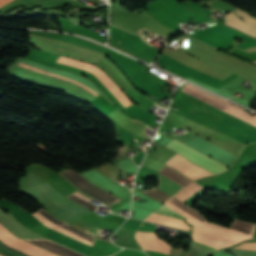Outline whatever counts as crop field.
<instances>
[{
  "instance_id": "obj_8",
  "label": "crop field",
  "mask_w": 256,
  "mask_h": 256,
  "mask_svg": "<svg viewBox=\"0 0 256 256\" xmlns=\"http://www.w3.org/2000/svg\"><path fill=\"white\" fill-rule=\"evenodd\" d=\"M0 241H2L4 244H6L12 248L20 250L24 253L31 255V256H56V255H53L47 251H44L36 246L26 243L22 240H18L13 237L7 236L1 232H0Z\"/></svg>"
},
{
  "instance_id": "obj_20",
  "label": "crop field",
  "mask_w": 256,
  "mask_h": 256,
  "mask_svg": "<svg viewBox=\"0 0 256 256\" xmlns=\"http://www.w3.org/2000/svg\"><path fill=\"white\" fill-rule=\"evenodd\" d=\"M140 193H142L148 197H151L163 204L172 197L158 189H152V190L144 191V192H140Z\"/></svg>"
},
{
  "instance_id": "obj_4",
  "label": "crop field",
  "mask_w": 256,
  "mask_h": 256,
  "mask_svg": "<svg viewBox=\"0 0 256 256\" xmlns=\"http://www.w3.org/2000/svg\"><path fill=\"white\" fill-rule=\"evenodd\" d=\"M21 62H24L26 64H29V65H32V66H36V67H39V68H42V69H45V70H48V71H52V72H55V73H58V74H61V75H64V76H67L69 78H72V79H75V80H78L82 83H85L87 84L90 88H92L97 94H101L99 92V90L95 87V85L85 79V78H82V77H79V76H76L74 74H71V73H68V72H64V71H60V70H57V69H53V68H50V67H47V66H43V65H40V64H37V63H34V62H31V61H28V60H25V59H22ZM19 62L18 65L20 66H23V67H26L28 69H31V70H34V71H37V72H40V73H43V74H47V75H50V76H53V77H56V78H59V79H62V80H65V81H69V82H72L82 88H84L85 90L97 95L93 90H91L87 85H84V84H81L75 80H72V79H69L67 77H64V76H61V75H58V74H55V73H51V72H48V71H45V70H42V69H39V68H35V67H32V66H29V65H26V64H23ZM97 95V96H99Z\"/></svg>"
},
{
  "instance_id": "obj_28",
  "label": "crop field",
  "mask_w": 256,
  "mask_h": 256,
  "mask_svg": "<svg viewBox=\"0 0 256 256\" xmlns=\"http://www.w3.org/2000/svg\"><path fill=\"white\" fill-rule=\"evenodd\" d=\"M214 256V255H213Z\"/></svg>"
},
{
  "instance_id": "obj_26",
  "label": "crop field",
  "mask_w": 256,
  "mask_h": 256,
  "mask_svg": "<svg viewBox=\"0 0 256 256\" xmlns=\"http://www.w3.org/2000/svg\"><path fill=\"white\" fill-rule=\"evenodd\" d=\"M79 228V227H78ZM81 229V228H80ZM83 230V229H82ZM85 232H87V231H85ZM87 233H89V232H87ZM90 234H92V233H90ZM92 235H94V234H92ZM95 236V235H94Z\"/></svg>"
},
{
  "instance_id": "obj_23",
  "label": "crop field",
  "mask_w": 256,
  "mask_h": 256,
  "mask_svg": "<svg viewBox=\"0 0 256 256\" xmlns=\"http://www.w3.org/2000/svg\"><path fill=\"white\" fill-rule=\"evenodd\" d=\"M235 248L245 250H256V243H243Z\"/></svg>"
},
{
  "instance_id": "obj_11",
  "label": "crop field",
  "mask_w": 256,
  "mask_h": 256,
  "mask_svg": "<svg viewBox=\"0 0 256 256\" xmlns=\"http://www.w3.org/2000/svg\"><path fill=\"white\" fill-rule=\"evenodd\" d=\"M28 32L33 33V34H37V35H41V36H48V37L56 38L58 40L70 42V43L77 44V45H80V46H83V47H87V48H90V49L101 51V52H104V53L108 54L110 57L114 53V51H112L108 48H104V47L95 45L91 42H88V41H85V40H82V39H78V38H75V37H72V36L61 35V34H53V33L33 32V31H28Z\"/></svg>"
},
{
  "instance_id": "obj_27",
  "label": "crop field",
  "mask_w": 256,
  "mask_h": 256,
  "mask_svg": "<svg viewBox=\"0 0 256 256\" xmlns=\"http://www.w3.org/2000/svg\"><path fill=\"white\" fill-rule=\"evenodd\" d=\"M254 63H256V61H253Z\"/></svg>"
},
{
  "instance_id": "obj_9",
  "label": "crop field",
  "mask_w": 256,
  "mask_h": 256,
  "mask_svg": "<svg viewBox=\"0 0 256 256\" xmlns=\"http://www.w3.org/2000/svg\"><path fill=\"white\" fill-rule=\"evenodd\" d=\"M237 13L243 20L247 23L241 21L233 12L227 14L224 18L226 20L227 25L236 27L241 31L251 34L256 37V20L246 15L244 12H235ZM250 35V36H251ZM252 36V37H253ZM254 37V38H255Z\"/></svg>"
},
{
  "instance_id": "obj_10",
  "label": "crop field",
  "mask_w": 256,
  "mask_h": 256,
  "mask_svg": "<svg viewBox=\"0 0 256 256\" xmlns=\"http://www.w3.org/2000/svg\"><path fill=\"white\" fill-rule=\"evenodd\" d=\"M136 240L138 241L139 245L142 247L143 250H154V251H160L162 253L168 254L170 246L163 242L161 239L157 238L155 233H143V232H137L136 233ZM165 253V254H166Z\"/></svg>"
},
{
  "instance_id": "obj_21",
  "label": "crop field",
  "mask_w": 256,
  "mask_h": 256,
  "mask_svg": "<svg viewBox=\"0 0 256 256\" xmlns=\"http://www.w3.org/2000/svg\"><path fill=\"white\" fill-rule=\"evenodd\" d=\"M74 193H76V194H78V195H80V196H82V197H84V198H86V199L91 201V199H89V198H87V197H85V196H83V195H81V194H79L77 192H74ZM67 197H69L73 201H75V202H77V203H79V204H81V205H83V206H85V207H87V208H89L91 210H93L96 207V205L90 203L89 201H87V200H85V199H83V198H81V197H79V196H77V195H75L73 193L68 195Z\"/></svg>"
},
{
  "instance_id": "obj_15",
  "label": "crop field",
  "mask_w": 256,
  "mask_h": 256,
  "mask_svg": "<svg viewBox=\"0 0 256 256\" xmlns=\"http://www.w3.org/2000/svg\"><path fill=\"white\" fill-rule=\"evenodd\" d=\"M204 189L197 186L196 184H191L188 187L184 188L174 197L180 199L181 201L189 204L195 197H197Z\"/></svg>"
},
{
  "instance_id": "obj_7",
  "label": "crop field",
  "mask_w": 256,
  "mask_h": 256,
  "mask_svg": "<svg viewBox=\"0 0 256 256\" xmlns=\"http://www.w3.org/2000/svg\"><path fill=\"white\" fill-rule=\"evenodd\" d=\"M165 164L179 170L192 180L212 175L211 173L205 171L204 169L195 165L194 163L186 160L184 157L177 153L174 156H172L168 161H166Z\"/></svg>"
},
{
  "instance_id": "obj_5",
  "label": "crop field",
  "mask_w": 256,
  "mask_h": 256,
  "mask_svg": "<svg viewBox=\"0 0 256 256\" xmlns=\"http://www.w3.org/2000/svg\"><path fill=\"white\" fill-rule=\"evenodd\" d=\"M37 211H38L39 213H41L45 218H47V219H49L50 221H52L53 223H55V224H57V225H59V226L65 228V229H67V230H69V231H71V232H74V233H76V234H78V235H80V236H82V237H84V238H86V239H88V240H90V241H92V242L95 241V238H93V237H91V236H89V235H87V234H85V233H83V232H81V231H79V230H77V229H75V228H73V227H71V226H69V225H67V224H65V223H63V222H61V221H59V220H57V219H55V218L52 217V216H50V215H49L47 212H45L42 208L39 209V210H37ZM37 211H36L35 213H33L32 215L35 216V217H36L40 222H42L44 225H46V226H48V227H50V228H52V229H54V230H56V231H58V232L64 234V235H66V236L72 237V238H74V239H77V240H79V241L85 243V244H88V245L93 246V243H92V242H90V241H88V240H86V239H84V238H82V237H80V236H78V235H76V234H74V233H71V232H69V231H67V230H65V229H63V228H61V227H59V226H57V225H55V224H53L52 222H50V221H48L47 219H45L42 215H40Z\"/></svg>"
},
{
  "instance_id": "obj_22",
  "label": "crop field",
  "mask_w": 256,
  "mask_h": 256,
  "mask_svg": "<svg viewBox=\"0 0 256 256\" xmlns=\"http://www.w3.org/2000/svg\"><path fill=\"white\" fill-rule=\"evenodd\" d=\"M229 173V171L217 175V177L214 179L212 184L210 185L211 188L217 189V187L220 185V183L223 181V179L226 177V175Z\"/></svg>"
},
{
  "instance_id": "obj_25",
  "label": "crop field",
  "mask_w": 256,
  "mask_h": 256,
  "mask_svg": "<svg viewBox=\"0 0 256 256\" xmlns=\"http://www.w3.org/2000/svg\"><path fill=\"white\" fill-rule=\"evenodd\" d=\"M0 231H3V232H5V233H7V234H9V235H11V236H14L12 233H10L6 228H4L2 225H0ZM14 237H16V236H14Z\"/></svg>"
},
{
  "instance_id": "obj_6",
  "label": "crop field",
  "mask_w": 256,
  "mask_h": 256,
  "mask_svg": "<svg viewBox=\"0 0 256 256\" xmlns=\"http://www.w3.org/2000/svg\"><path fill=\"white\" fill-rule=\"evenodd\" d=\"M61 175L77 186L80 190L97 198L109 206L117 200V198L111 196L109 193L91 185L87 180L74 171L69 170Z\"/></svg>"
},
{
  "instance_id": "obj_14",
  "label": "crop field",
  "mask_w": 256,
  "mask_h": 256,
  "mask_svg": "<svg viewBox=\"0 0 256 256\" xmlns=\"http://www.w3.org/2000/svg\"><path fill=\"white\" fill-rule=\"evenodd\" d=\"M161 175L173 180L177 184L181 186H186L189 183L193 182L188 177L184 176L183 174L179 173L178 171L164 165L159 171Z\"/></svg>"
},
{
  "instance_id": "obj_12",
  "label": "crop field",
  "mask_w": 256,
  "mask_h": 256,
  "mask_svg": "<svg viewBox=\"0 0 256 256\" xmlns=\"http://www.w3.org/2000/svg\"><path fill=\"white\" fill-rule=\"evenodd\" d=\"M195 236H196V237H199V238H202V239H205V240H208V241H212V242H215V243H218V244L227 246V247L232 246V245L238 243V242L231 241V240H228V239L219 237V236H215V235H212V234L203 232V231L196 230V229H195ZM196 237H195V240H196V241H199V242L208 244V245H210V246H213V247H216V248H219V249H221L222 247H224V246H221V245H218V244H215V243H211V242H208V241H205V240L196 238ZM196 241H195V243H198V244L207 246V245H205V244H202V243H199V242H196ZM210 246H208V247H210ZM213 247H211V248H213ZM216 248H214V249H216ZM219 249H217V250H219Z\"/></svg>"
},
{
  "instance_id": "obj_1",
  "label": "crop field",
  "mask_w": 256,
  "mask_h": 256,
  "mask_svg": "<svg viewBox=\"0 0 256 256\" xmlns=\"http://www.w3.org/2000/svg\"><path fill=\"white\" fill-rule=\"evenodd\" d=\"M168 202L172 203L173 205L177 206L178 208L182 209L183 211L189 213L190 215L194 216L195 218L199 219L200 221L205 222L200 213H198L195 210L191 209L190 207L186 206L185 204L178 201L177 199L172 197ZM168 202L165 203L163 207L167 208L168 210L175 213L179 217L183 218L187 222L191 223L194 226L204 224V223L200 222L199 220L195 219L194 217L190 216L189 214H187V213L183 212L182 210L178 209L177 207L173 206L172 204L168 203ZM206 225H209V226H212V227L224 230V231H228V232H231V233H234V234L246 237V238H248L252 234L253 229L255 227L254 225H251L249 223H245V222H242V221H238V220H236L233 223L231 229L250 234V235H247V234H243V233H240V232H237V231H233V230H230V229H227V228H224V227H221V226L209 223V222H207ZM206 225L199 226V227H196V228H199V229H202V230L214 233V234H218V235H221V236H224V237H227V238L239 241V242H242V241L246 240V238H243V237H240V236L228 233V232H224V231H221V230H218V229L206 226Z\"/></svg>"
},
{
  "instance_id": "obj_3",
  "label": "crop field",
  "mask_w": 256,
  "mask_h": 256,
  "mask_svg": "<svg viewBox=\"0 0 256 256\" xmlns=\"http://www.w3.org/2000/svg\"><path fill=\"white\" fill-rule=\"evenodd\" d=\"M166 147L175 150L176 152L180 153L190 161L200 165L201 167L215 174L220 173L227 168L223 164L202 155L201 153L189 148L188 146L174 139Z\"/></svg>"
},
{
  "instance_id": "obj_2",
  "label": "crop field",
  "mask_w": 256,
  "mask_h": 256,
  "mask_svg": "<svg viewBox=\"0 0 256 256\" xmlns=\"http://www.w3.org/2000/svg\"><path fill=\"white\" fill-rule=\"evenodd\" d=\"M32 40H33L34 47L41 50L48 51V52L56 53L62 56L81 59V60H85L87 62H92V63H97L103 58L101 56H98L86 51L78 50L68 46L49 42L46 40H42L34 37H32Z\"/></svg>"
},
{
  "instance_id": "obj_19",
  "label": "crop field",
  "mask_w": 256,
  "mask_h": 256,
  "mask_svg": "<svg viewBox=\"0 0 256 256\" xmlns=\"http://www.w3.org/2000/svg\"><path fill=\"white\" fill-rule=\"evenodd\" d=\"M222 110H224V111H226V112H228V113H230V114H232V115H234V116H236V117H238V118L256 126V118H254V117H252L248 114H245L246 112L243 113L244 111L241 112V111H239V110H237V109H235V108H233L229 105L225 106Z\"/></svg>"
},
{
  "instance_id": "obj_24",
  "label": "crop field",
  "mask_w": 256,
  "mask_h": 256,
  "mask_svg": "<svg viewBox=\"0 0 256 256\" xmlns=\"http://www.w3.org/2000/svg\"><path fill=\"white\" fill-rule=\"evenodd\" d=\"M155 227L153 226H148V225H144V224H141V226L139 227V230H142V231H153Z\"/></svg>"
},
{
  "instance_id": "obj_17",
  "label": "crop field",
  "mask_w": 256,
  "mask_h": 256,
  "mask_svg": "<svg viewBox=\"0 0 256 256\" xmlns=\"http://www.w3.org/2000/svg\"><path fill=\"white\" fill-rule=\"evenodd\" d=\"M15 79H18L20 81H26V82H29V83H32V84H35V85H39V86H42V87H46V88H51V89H58V90H63V91H66V93L82 100V101H87L83 96L67 89L66 87L64 86H61V85H55V84H49V83H43V82H37V81H31V80H27V79H23V78H20V77H16L14 76Z\"/></svg>"
},
{
  "instance_id": "obj_16",
  "label": "crop field",
  "mask_w": 256,
  "mask_h": 256,
  "mask_svg": "<svg viewBox=\"0 0 256 256\" xmlns=\"http://www.w3.org/2000/svg\"><path fill=\"white\" fill-rule=\"evenodd\" d=\"M146 220L151 221V222H155V223H160V224L172 226V227L185 229V230L188 229V227L185 225V223L183 221H181L179 219H175V218H170V217H165V216H161V215L152 214Z\"/></svg>"
},
{
  "instance_id": "obj_13",
  "label": "crop field",
  "mask_w": 256,
  "mask_h": 256,
  "mask_svg": "<svg viewBox=\"0 0 256 256\" xmlns=\"http://www.w3.org/2000/svg\"><path fill=\"white\" fill-rule=\"evenodd\" d=\"M31 243H34L38 246H41L47 250H50L56 254H59L61 256H82L78 253H75L65 247H62L52 241H47V240H27Z\"/></svg>"
},
{
  "instance_id": "obj_18",
  "label": "crop field",
  "mask_w": 256,
  "mask_h": 256,
  "mask_svg": "<svg viewBox=\"0 0 256 256\" xmlns=\"http://www.w3.org/2000/svg\"><path fill=\"white\" fill-rule=\"evenodd\" d=\"M159 189L173 196L180 189H182V187H180L177 184L173 183L172 181L160 176L159 177Z\"/></svg>"
}]
</instances>
